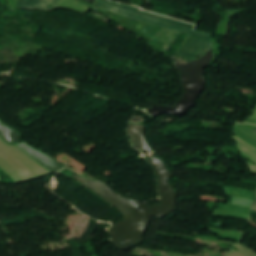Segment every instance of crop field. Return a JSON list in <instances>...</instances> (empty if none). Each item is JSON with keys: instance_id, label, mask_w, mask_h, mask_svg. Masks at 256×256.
I'll return each instance as SVG.
<instances>
[{"instance_id": "crop-field-1", "label": "crop field", "mask_w": 256, "mask_h": 256, "mask_svg": "<svg viewBox=\"0 0 256 256\" xmlns=\"http://www.w3.org/2000/svg\"><path fill=\"white\" fill-rule=\"evenodd\" d=\"M99 6L125 15L130 18L142 20L151 24H155L170 30H177L190 34L183 45L176 52L187 58L198 57L203 54L209 44V34L192 31L193 25L156 15L143 10H137L105 1H99Z\"/></svg>"}, {"instance_id": "crop-field-2", "label": "crop field", "mask_w": 256, "mask_h": 256, "mask_svg": "<svg viewBox=\"0 0 256 256\" xmlns=\"http://www.w3.org/2000/svg\"><path fill=\"white\" fill-rule=\"evenodd\" d=\"M59 0H20L16 8L52 10Z\"/></svg>"}, {"instance_id": "crop-field-3", "label": "crop field", "mask_w": 256, "mask_h": 256, "mask_svg": "<svg viewBox=\"0 0 256 256\" xmlns=\"http://www.w3.org/2000/svg\"><path fill=\"white\" fill-rule=\"evenodd\" d=\"M237 146L241 152H243L245 155H247L249 158H251L256 163V148L249 145L248 143L240 140L238 137H234Z\"/></svg>"}, {"instance_id": "crop-field-4", "label": "crop field", "mask_w": 256, "mask_h": 256, "mask_svg": "<svg viewBox=\"0 0 256 256\" xmlns=\"http://www.w3.org/2000/svg\"><path fill=\"white\" fill-rule=\"evenodd\" d=\"M234 132L240 136L242 139H244L246 142L250 143L254 147H256V135L251 133L250 131L235 125ZM239 137V138H240Z\"/></svg>"}, {"instance_id": "crop-field-5", "label": "crop field", "mask_w": 256, "mask_h": 256, "mask_svg": "<svg viewBox=\"0 0 256 256\" xmlns=\"http://www.w3.org/2000/svg\"><path fill=\"white\" fill-rule=\"evenodd\" d=\"M234 246H236L239 250L240 253L234 251L231 249V251L228 253L227 256H256V253H254L252 250L247 248L246 246L242 245L241 243H237Z\"/></svg>"}, {"instance_id": "crop-field-6", "label": "crop field", "mask_w": 256, "mask_h": 256, "mask_svg": "<svg viewBox=\"0 0 256 256\" xmlns=\"http://www.w3.org/2000/svg\"><path fill=\"white\" fill-rule=\"evenodd\" d=\"M230 195H235V196H239V197H243V198H247V199H252V200L255 199V194L254 193L239 190V189H233V188H231Z\"/></svg>"}, {"instance_id": "crop-field-7", "label": "crop field", "mask_w": 256, "mask_h": 256, "mask_svg": "<svg viewBox=\"0 0 256 256\" xmlns=\"http://www.w3.org/2000/svg\"><path fill=\"white\" fill-rule=\"evenodd\" d=\"M219 209L232 210V211H237V212H242V213L249 214V208L240 207V206H234V205H229V204L221 203Z\"/></svg>"}, {"instance_id": "crop-field-8", "label": "crop field", "mask_w": 256, "mask_h": 256, "mask_svg": "<svg viewBox=\"0 0 256 256\" xmlns=\"http://www.w3.org/2000/svg\"><path fill=\"white\" fill-rule=\"evenodd\" d=\"M252 202L253 201H251V200H246V199H241V198L234 197V200H233L232 204L249 207Z\"/></svg>"}, {"instance_id": "crop-field-9", "label": "crop field", "mask_w": 256, "mask_h": 256, "mask_svg": "<svg viewBox=\"0 0 256 256\" xmlns=\"http://www.w3.org/2000/svg\"><path fill=\"white\" fill-rule=\"evenodd\" d=\"M253 112H255V113H256V110H254ZM249 118H251L253 121H255V122H256V114H255V115H253V116H251V117H249Z\"/></svg>"}, {"instance_id": "crop-field-10", "label": "crop field", "mask_w": 256, "mask_h": 256, "mask_svg": "<svg viewBox=\"0 0 256 256\" xmlns=\"http://www.w3.org/2000/svg\"><path fill=\"white\" fill-rule=\"evenodd\" d=\"M251 209L254 210V211H256V201L253 203Z\"/></svg>"}, {"instance_id": "crop-field-11", "label": "crop field", "mask_w": 256, "mask_h": 256, "mask_svg": "<svg viewBox=\"0 0 256 256\" xmlns=\"http://www.w3.org/2000/svg\"><path fill=\"white\" fill-rule=\"evenodd\" d=\"M251 132H253V133H255V134H256V128H255L253 131H251Z\"/></svg>"}]
</instances>
